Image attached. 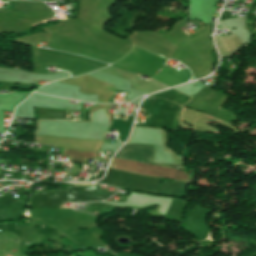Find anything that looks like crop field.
Listing matches in <instances>:
<instances>
[{
    "label": "crop field",
    "mask_w": 256,
    "mask_h": 256,
    "mask_svg": "<svg viewBox=\"0 0 256 256\" xmlns=\"http://www.w3.org/2000/svg\"><path fill=\"white\" fill-rule=\"evenodd\" d=\"M222 40V39H221ZM223 42V41H222Z\"/></svg>",
    "instance_id": "obj_1"
},
{
    "label": "crop field",
    "mask_w": 256,
    "mask_h": 256,
    "mask_svg": "<svg viewBox=\"0 0 256 256\" xmlns=\"http://www.w3.org/2000/svg\"><path fill=\"white\" fill-rule=\"evenodd\" d=\"M197 31V30H196Z\"/></svg>",
    "instance_id": "obj_2"
}]
</instances>
